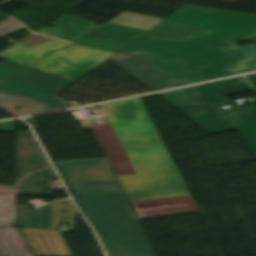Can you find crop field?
I'll use <instances>...</instances> for the list:
<instances>
[{
  "label": "crop field",
  "mask_w": 256,
  "mask_h": 256,
  "mask_svg": "<svg viewBox=\"0 0 256 256\" xmlns=\"http://www.w3.org/2000/svg\"><path fill=\"white\" fill-rule=\"evenodd\" d=\"M138 219L199 212L192 197L131 203Z\"/></svg>",
  "instance_id": "10"
},
{
  "label": "crop field",
  "mask_w": 256,
  "mask_h": 256,
  "mask_svg": "<svg viewBox=\"0 0 256 256\" xmlns=\"http://www.w3.org/2000/svg\"><path fill=\"white\" fill-rule=\"evenodd\" d=\"M50 204L43 211H31L27 206H15L16 226L20 228L50 229Z\"/></svg>",
  "instance_id": "15"
},
{
  "label": "crop field",
  "mask_w": 256,
  "mask_h": 256,
  "mask_svg": "<svg viewBox=\"0 0 256 256\" xmlns=\"http://www.w3.org/2000/svg\"><path fill=\"white\" fill-rule=\"evenodd\" d=\"M191 88L217 112L237 108L225 96L253 90L252 86L243 76L192 86ZM225 105H229L232 108L223 109L221 106Z\"/></svg>",
  "instance_id": "9"
},
{
  "label": "crop field",
  "mask_w": 256,
  "mask_h": 256,
  "mask_svg": "<svg viewBox=\"0 0 256 256\" xmlns=\"http://www.w3.org/2000/svg\"><path fill=\"white\" fill-rule=\"evenodd\" d=\"M160 95L208 134L236 129L188 88L161 93Z\"/></svg>",
  "instance_id": "8"
},
{
  "label": "crop field",
  "mask_w": 256,
  "mask_h": 256,
  "mask_svg": "<svg viewBox=\"0 0 256 256\" xmlns=\"http://www.w3.org/2000/svg\"><path fill=\"white\" fill-rule=\"evenodd\" d=\"M63 200L55 201L51 206V229L55 230V225H61Z\"/></svg>",
  "instance_id": "16"
},
{
  "label": "crop field",
  "mask_w": 256,
  "mask_h": 256,
  "mask_svg": "<svg viewBox=\"0 0 256 256\" xmlns=\"http://www.w3.org/2000/svg\"><path fill=\"white\" fill-rule=\"evenodd\" d=\"M255 36L256 16L183 6L121 53L139 56L175 83L193 84L255 71V45L234 48Z\"/></svg>",
  "instance_id": "1"
},
{
  "label": "crop field",
  "mask_w": 256,
  "mask_h": 256,
  "mask_svg": "<svg viewBox=\"0 0 256 256\" xmlns=\"http://www.w3.org/2000/svg\"><path fill=\"white\" fill-rule=\"evenodd\" d=\"M70 16L64 15L52 23L67 31L44 27L36 33L74 42L94 25L76 42L118 52L162 20L124 11L108 24L96 26L95 23Z\"/></svg>",
  "instance_id": "4"
},
{
  "label": "crop field",
  "mask_w": 256,
  "mask_h": 256,
  "mask_svg": "<svg viewBox=\"0 0 256 256\" xmlns=\"http://www.w3.org/2000/svg\"><path fill=\"white\" fill-rule=\"evenodd\" d=\"M87 218L109 256H156L135 213Z\"/></svg>",
  "instance_id": "6"
},
{
  "label": "crop field",
  "mask_w": 256,
  "mask_h": 256,
  "mask_svg": "<svg viewBox=\"0 0 256 256\" xmlns=\"http://www.w3.org/2000/svg\"><path fill=\"white\" fill-rule=\"evenodd\" d=\"M57 164L85 216L133 212L106 158Z\"/></svg>",
  "instance_id": "3"
},
{
  "label": "crop field",
  "mask_w": 256,
  "mask_h": 256,
  "mask_svg": "<svg viewBox=\"0 0 256 256\" xmlns=\"http://www.w3.org/2000/svg\"><path fill=\"white\" fill-rule=\"evenodd\" d=\"M36 256H72L60 231L21 229Z\"/></svg>",
  "instance_id": "12"
},
{
  "label": "crop field",
  "mask_w": 256,
  "mask_h": 256,
  "mask_svg": "<svg viewBox=\"0 0 256 256\" xmlns=\"http://www.w3.org/2000/svg\"><path fill=\"white\" fill-rule=\"evenodd\" d=\"M77 211L70 199L66 200L64 223H70L68 231H74Z\"/></svg>",
  "instance_id": "17"
},
{
  "label": "crop field",
  "mask_w": 256,
  "mask_h": 256,
  "mask_svg": "<svg viewBox=\"0 0 256 256\" xmlns=\"http://www.w3.org/2000/svg\"><path fill=\"white\" fill-rule=\"evenodd\" d=\"M74 82L18 63H0V97L34 100L51 111L77 107L56 97Z\"/></svg>",
  "instance_id": "5"
},
{
  "label": "crop field",
  "mask_w": 256,
  "mask_h": 256,
  "mask_svg": "<svg viewBox=\"0 0 256 256\" xmlns=\"http://www.w3.org/2000/svg\"><path fill=\"white\" fill-rule=\"evenodd\" d=\"M220 114L238 128V132L256 156V105Z\"/></svg>",
  "instance_id": "14"
},
{
  "label": "crop field",
  "mask_w": 256,
  "mask_h": 256,
  "mask_svg": "<svg viewBox=\"0 0 256 256\" xmlns=\"http://www.w3.org/2000/svg\"><path fill=\"white\" fill-rule=\"evenodd\" d=\"M115 52L73 44L41 58L32 67L75 81L104 63Z\"/></svg>",
  "instance_id": "7"
},
{
  "label": "crop field",
  "mask_w": 256,
  "mask_h": 256,
  "mask_svg": "<svg viewBox=\"0 0 256 256\" xmlns=\"http://www.w3.org/2000/svg\"><path fill=\"white\" fill-rule=\"evenodd\" d=\"M102 107L89 123L130 202L190 195L141 97Z\"/></svg>",
  "instance_id": "2"
},
{
  "label": "crop field",
  "mask_w": 256,
  "mask_h": 256,
  "mask_svg": "<svg viewBox=\"0 0 256 256\" xmlns=\"http://www.w3.org/2000/svg\"><path fill=\"white\" fill-rule=\"evenodd\" d=\"M71 43L51 40L47 43L39 44L36 46L25 44H14L0 53V57L11 59L19 63L30 66L37 61L42 55L49 52L65 48Z\"/></svg>",
  "instance_id": "13"
},
{
  "label": "crop field",
  "mask_w": 256,
  "mask_h": 256,
  "mask_svg": "<svg viewBox=\"0 0 256 256\" xmlns=\"http://www.w3.org/2000/svg\"><path fill=\"white\" fill-rule=\"evenodd\" d=\"M110 60L152 91L176 87L135 56L117 53Z\"/></svg>",
  "instance_id": "11"
}]
</instances>
